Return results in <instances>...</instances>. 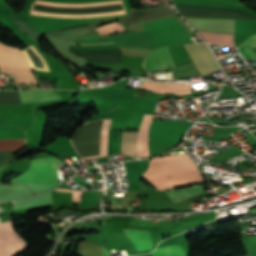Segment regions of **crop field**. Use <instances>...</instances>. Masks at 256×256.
Here are the masks:
<instances>
[{"instance_id": "crop-field-23", "label": "crop field", "mask_w": 256, "mask_h": 256, "mask_svg": "<svg viewBox=\"0 0 256 256\" xmlns=\"http://www.w3.org/2000/svg\"><path fill=\"white\" fill-rule=\"evenodd\" d=\"M101 251H103V252H104L105 256H109L108 252H107L104 248H103V249H101Z\"/></svg>"}, {"instance_id": "crop-field-21", "label": "crop field", "mask_w": 256, "mask_h": 256, "mask_svg": "<svg viewBox=\"0 0 256 256\" xmlns=\"http://www.w3.org/2000/svg\"><path fill=\"white\" fill-rule=\"evenodd\" d=\"M107 43H114V42L97 43V44H107ZM71 44H82V43H71ZM97 44H83V45H97Z\"/></svg>"}, {"instance_id": "crop-field-10", "label": "crop field", "mask_w": 256, "mask_h": 256, "mask_svg": "<svg viewBox=\"0 0 256 256\" xmlns=\"http://www.w3.org/2000/svg\"><path fill=\"white\" fill-rule=\"evenodd\" d=\"M201 192H204V190L200 187V185L192 186L184 189H175V190L166 191L172 203L188 198L190 196L199 194Z\"/></svg>"}, {"instance_id": "crop-field-5", "label": "crop field", "mask_w": 256, "mask_h": 256, "mask_svg": "<svg viewBox=\"0 0 256 256\" xmlns=\"http://www.w3.org/2000/svg\"><path fill=\"white\" fill-rule=\"evenodd\" d=\"M174 66L166 47L157 48L149 52L143 63V68L148 73L168 69Z\"/></svg>"}, {"instance_id": "crop-field-2", "label": "crop field", "mask_w": 256, "mask_h": 256, "mask_svg": "<svg viewBox=\"0 0 256 256\" xmlns=\"http://www.w3.org/2000/svg\"><path fill=\"white\" fill-rule=\"evenodd\" d=\"M61 163L63 162L53 157L36 158L32 160L30 168L27 171H25L19 177L11 179V181H29L55 185L58 182V175L55 165ZM59 166L61 165L56 167ZM29 182H12V184H26L33 193L52 187L51 185Z\"/></svg>"}, {"instance_id": "crop-field-14", "label": "crop field", "mask_w": 256, "mask_h": 256, "mask_svg": "<svg viewBox=\"0 0 256 256\" xmlns=\"http://www.w3.org/2000/svg\"><path fill=\"white\" fill-rule=\"evenodd\" d=\"M158 89L171 91L176 93L177 95H184L191 93V85L190 83L186 84H162L160 83Z\"/></svg>"}, {"instance_id": "crop-field-22", "label": "crop field", "mask_w": 256, "mask_h": 256, "mask_svg": "<svg viewBox=\"0 0 256 256\" xmlns=\"http://www.w3.org/2000/svg\"><path fill=\"white\" fill-rule=\"evenodd\" d=\"M253 46H256V35H254V38H253Z\"/></svg>"}, {"instance_id": "crop-field-20", "label": "crop field", "mask_w": 256, "mask_h": 256, "mask_svg": "<svg viewBox=\"0 0 256 256\" xmlns=\"http://www.w3.org/2000/svg\"><path fill=\"white\" fill-rule=\"evenodd\" d=\"M246 79L252 78L250 71L243 72Z\"/></svg>"}, {"instance_id": "crop-field-19", "label": "crop field", "mask_w": 256, "mask_h": 256, "mask_svg": "<svg viewBox=\"0 0 256 256\" xmlns=\"http://www.w3.org/2000/svg\"><path fill=\"white\" fill-rule=\"evenodd\" d=\"M56 190H65V189H56ZM65 191H73V197L72 200L79 201L80 197L82 195L83 191H77V190H65Z\"/></svg>"}, {"instance_id": "crop-field-7", "label": "crop field", "mask_w": 256, "mask_h": 256, "mask_svg": "<svg viewBox=\"0 0 256 256\" xmlns=\"http://www.w3.org/2000/svg\"><path fill=\"white\" fill-rule=\"evenodd\" d=\"M124 234L133 243L137 251H148L153 247L150 230L124 229Z\"/></svg>"}, {"instance_id": "crop-field-15", "label": "crop field", "mask_w": 256, "mask_h": 256, "mask_svg": "<svg viewBox=\"0 0 256 256\" xmlns=\"http://www.w3.org/2000/svg\"><path fill=\"white\" fill-rule=\"evenodd\" d=\"M26 143L24 140L11 139V140H0V151L3 150H21L25 147Z\"/></svg>"}, {"instance_id": "crop-field-16", "label": "crop field", "mask_w": 256, "mask_h": 256, "mask_svg": "<svg viewBox=\"0 0 256 256\" xmlns=\"http://www.w3.org/2000/svg\"><path fill=\"white\" fill-rule=\"evenodd\" d=\"M109 124H110V120H104L103 128H102L101 156H98V157L107 156V140H108ZM93 158H96V157H93ZM85 159H89V158H85Z\"/></svg>"}, {"instance_id": "crop-field-9", "label": "crop field", "mask_w": 256, "mask_h": 256, "mask_svg": "<svg viewBox=\"0 0 256 256\" xmlns=\"http://www.w3.org/2000/svg\"><path fill=\"white\" fill-rule=\"evenodd\" d=\"M22 104L59 98L58 95L47 90L18 92Z\"/></svg>"}, {"instance_id": "crop-field-18", "label": "crop field", "mask_w": 256, "mask_h": 256, "mask_svg": "<svg viewBox=\"0 0 256 256\" xmlns=\"http://www.w3.org/2000/svg\"><path fill=\"white\" fill-rule=\"evenodd\" d=\"M158 83L155 82H149V81H144L142 86H138L139 89H143V90H148V91H154V92H160V93H164V94H172L170 92H166V91H160L158 89H155Z\"/></svg>"}, {"instance_id": "crop-field-1", "label": "crop field", "mask_w": 256, "mask_h": 256, "mask_svg": "<svg viewBox=\"0 0 256 256\" xmlns=\"http://www.w3.org/2000/svg\"><path fill=\"white\" fill-rule=\"evenodd\" d=\"M142 178L161 190L204 181L188 154L170 155L150 160L149 167L143 173Z\"/></svg>"}, {"instance_id": "crop-field-13", "label": "crop field", "mask_w": 256, "mask_h": 256, "mask_svg": "<svg viewBox=\"0 0 256 256\" xmlns=\"http://www.w3.org/2000/svg\"><path fill=\"white\" fill-rule=\"evenodd\" d=\"M150 254L152 256H183L185 255L183 249L177 245L157 248Z\"/></svg>"}, {"instance_id": "crop-field-8", "label": "crop field", "mask_w": 256, "mask_h": 256, "mask_svg": "<svg viewBox=\"0 0 256 256\" xmlns=\"http://www.w3.org/2000/svg\"><path fill=\"white\" fill-rule=\"evenodd\" d=\"M152 118H153V115H149V114L143 115L141 127L138 131V137H137V157H148L147 129Z\"/></svg>"}, {"instance_id": "crop-field-17", "label": "crop field", "mask_w": 256, "mask_h": 256, "mask_svg": "<svg viewBox=\"0 0 256 256\" xmlns=\"http://www.w3.org/2000/svg\"><path fill=\"white\" fill-rule=\"evenodd\" d=\"M124 27L117 23H113L104 27L96 28V31L102 35L113 34L117 32H125Z\"/></svg>"}, {"instance_id": "crop-field-11", "label": "crop field", "mask_w": 256, "mask_h": 256, "mask_svg": "<svg viewBox=\"0 0 256 256\" xmlns=\"http://www.w3.org/2000/svg\"><path fill=\"white\" fill-rule=\"evenodd\" d=\"M137 132H122V153L125 156L136 155Z\"/></svg>"}, {"instance_id": "crop-field-12", "label": "crop field", "mask_w": 256, "mask_h": 256, "mask_svg": "<svg viewBox=\"0 0 256 256\" xmlns=\"http://www.w3.org/2000/svg\"><path fill=\"white\" fill-rule=\"evenodd\" d=\"M49 203H52L50 192L42 194V195L34 197V198L27 199V200L17 201V202H15L14 209L49 204Z\"/></svg>"}, {"instance_id": "crop-field-6", "label": "crop field", "mask_w": 256, "mask_h": 256, "mask_svg": "<svg viewBox=\"0 0 256 256\" xmlns=\"http://www.w3.org/2000/svg\"><path fill=\"white\" fill-rule=\"evenodd\" d=\"M187 19L199 30L221 33H233L235 23V20Z\"/></svg>"}, {"instance_id": "crop-field-3", "label": "crop field", "mask_w": 256, "mask_h": 256, "mask_svg": "<svg viewBox=\"0 0 256 256\" xmlns=\"http://www.w3.org/2000/svg\"><path fill=\"white\" fill-rule=\"evenodd\" d=\"M0 70L9 73L19 83L37 82L22 52L0 43Z\"/></svg>"}, {"instance_id": "crop-field-4", "label": "crop field", "mask_w": 256, "mask_h": 256, "mask_svg": "<svg viewBox=\"0 0 256 256\" xmlns=\"http://www.w3.org/2000/svg\"><path fill=\"white\" fill-rule=\"evenodd\" d=\"M187 52L207 49L203 43L184 45ZM201 76L220 70L209 50L189 53Z\"/></svg>"}]
</instances>
